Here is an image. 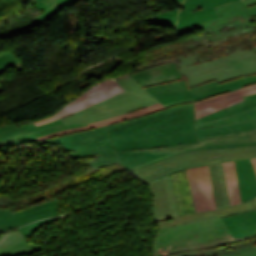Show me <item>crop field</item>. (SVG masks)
Instances as JSON below:
<instances>
[{
	"label": "crop field",
	"instance_id": "1",
	"mask_svg": "<svg viewBox=\"0 0 256 256\" xmlns=\"http://www.w3.org/2000/svg\"><path fill=\"white\" fill-rule=\"evenodd\" d=\"M193 102L109 125L117 158L130 171L191 150L256 145V121L194 130Z\"/></svg>",
	"mask_w": 256,
	"mask_h": 256
},
{
	"label": "crop field",
	"instance_id": "2",
	"mask_svg": "<svg viewBox=\"0 0 256 256\" xmlns=\"http://www.w3.org/2000/svg\"><path fill=\"white\" fill-rule=\"evenodd\" d=\"M234 38L239 39L237 35L203 45H211L214 48L221 44L226 47L227 45L223 44V42L227 40L235 42ZM248 41L250 42L249 45L253 46V50L242 51L243 48H241L231 53L230 48L232 47L227 46L228 48L224 52L203 60L198 57L200 56L198 53L203 52V50L195 51L194 48L195 52L188 56L178 55V58H170L167 61L154 57L151 58V63H146L136 69L141 71L152 66L174 61L181 75L187 77L188 87L213 79L221 82L237 76L256 73V35L249 32Z\"/></svg>",
	"mask_w": 256,
	"mask_h": 256
},
{
	"label": "crop field",
	"instance_id": "3",
	"mask_svg": "<svg viewBox=\"0 0 256 256\" xmlns=\"http://www.w3.org/2000/svg\"><path fill=\"white\" fill-rule=\"evenodd\" d=\"M256 158V146L191 151L134 170L145 181L154 180L181 169L209 164L216 207L230 206L222 162Z\"/></svg>",
	"mask_w": 256,
	"mask_h": 256
},
{
	"label": "crop field",
	"instance_id": "4",
	"mask_svg": "<svg viewBox=\"0 0 256 256\" xmlns=\"http://www.w3.org/2000/svg\"><path fill=\"white\" fill-rule=\"evenodd\" d=\"M236 242L221 218L214 217L159 231L155 256L203 249Z\"/></svg>",
	"mask_w": 256,
	"mask_h": 256
},
{
	"label": "crop field",
	"instance_id": "5",
	"mask_svg": "<svg viewBox=\"0 0 256 256\" xmlns=\"http://www.w3.org/2000/svg\"><path fill=\"white\" fill-rule=\"evenodd\" d=\"M216 10L220 17L177 32L180 36L198 30L205 31L184 40V43L190 40L199 42L188 48L256 29V0H242L216 7Z\"/></svg>",
	"mask_w": 256,
	"mask_h": 256
},
{
	"label": "crop field",
	"instance_id": "6",
	"mask_svg": "<svg viewBox=\"0 0 256 256\" xmlns=\"http://www.w3.org/2000/svg\"><path fill=\"white\" fill-rule=\"evenodd\" d=\"M116 80L126 91L89 108L61 118L65 124H86L138 110L159 101L145 92L128 74Z\"/></svg>",
	"mask_w": 256,
	"mask_h": 256
},
{
	"label": "crop field",
	"instance_id": "7",
	"mask_svg": "<svg viewBox=\"0 0 256 256\" xmlns=\"http://www.w3.org/2000/svg\"><path fill=\"white\" fill-rule=\"evenodd\" d=\"M38 143L53 145L63 144L67 151H77L69 154L73 156V158L97 154L98 160L89 162L94 169L119 163L110 142L106 126L64 135Z\"/></svg>",
	"mask_w": 256,
	"mask_h": 256
},
{
	"label": "crop field",
	"instance_id": "8",
	"mask_svg": "<svg viewBox=\"0 0 256 256\" xmlns=\"http://www.w3.org/2000/svg\"><path fill=\"white\" fill-rule=\"evenodd\" d=\"M256 83V75L244 77L233 82L219 85L215 80L188 88L183 81L177 80L169 83L145 87L148 93L158 99L162 105L183 99L193 98L200 101L225 92Z\"/></svg>",
	"mask_w": 256,
	"mask_h": 256
},
{
	"label": "crop field",
	"instance_id": "9",
	"mask_svg": "<svg viewBox=\"0 0 256 256\" xmlns=\"http://www.w3.org/2000/svg\"><path fill=\"white\" fill-rule=\"evenodd\" d=\"M7 196L0 197V231L10 230L29 222L59 216L57 199L12 213Z\"/></svg>",
	"mask_w": 256,
	"mask_h": 256
},
{
	"label": "crop field",
	"instance_id": "10",
	"mask_svg": "<svg viewBox=\"0 0 256 256\" xmlns=\"http://www.w3.org/2000/svg\"><path fill=\"white\" fill-rule=\"evenodd\" d=\"M124 92L121 86L114 80H105L81 96L77 99L69 103L67 106L56 112L55 114L48 116L46 118L40 119L38 121L33 122L36 126L44 124L46 122L61 118L63 116L69 115L72 112H77L81 109L89 107L93 104H96L100 101L108 99L112 96L120 94Z\"/></svg>",
	"mask_w": 256,
	"mask_h": 256
},
{
	"label": "crop field",
	"instance_id": "11",
	"mask_svg": "<svg viewBox=\"0 0 256 256\" xmlns=\"http://www.w3.org/2000/svg\"><path fill=\"white\" fill-rule=\"evenodd\" d=\"M240 0H184L178 18L177 31L218 17L214 7Z\"/></svg>",
	"mask_w": 256,
	"mask_h": 256
},
{
	"label": "crop field",
	"instance_id": "12",
	"mask_svg": "<svg viewBox=\"0 0 256 256\" xmlns=\"http://www.w3.org/2000/svg\"><path fill=\"white\" fill-rule=\"evenodd\" d=\"M154 194L155 221L178 217L176 196L170 175L148 182Z\"/></svg>",
	"mask_w": 256,
	"mask_h": 256
},
{
	"label": "crop field",
	"instance_id": "13",
	"mask_svg": "<svg viewBox=\"0 0 256 256\" xmlns=\"http://www.w3.org/2000/svg\"><path fill=\"white\" fill-rule=\"evenodd\" d=\"M256 93V84L194 103L195 120L243 101L244 96Z\"/></svg>",
	"mask_w": 256,
	"mask_h": 256
},
{
	"label": "crop field",
	"instance_id": "14",
	"mask_svg": "<svg viewBox=\"0 0 256 256\" xmlns=\"http://www.w3.org/2000/svg\"><path fill=\"white\" fill-rule=\"evenodd\" d=\"M191 101H193V100L192 99L183 100V101H179V102H175V103L166 104L164 106H162L161 103H158V104L151 105V106H148L146 108L140 109L138 111L128 113L126 115H122V116H118V117H114V118H110V119L90 123V124H87V126L77 127V128H73V129H69V130H65V131H61V132L52 133V134H49V135H46V136H43V137H40V138L34 137V138L25 139V140H21V141H17V142H12V143H8V144H5V145L10 146V145H15V144H20V143L34 142V141H39V140H43V139H47V138H51V137H55V136H59V135H64V134H68V133H72V132L92 129V128H96V127H99V126L113 124V123H117V122H120V121L132 119L136 116H139V115H142V114H145V113L154 112V111H157V110L169 107V106H173V105H177V104H181V103H186V102H191Z\"/></svg>",
	"mask_w": 256,
	"mask_h": 256
},
{
	"label": "crop field",
	"instance_id": "15",
	"mask_svg": "<svg viewBox=\"0 0 256 256\" xmlns=\"http://www.w3.org/2000/svg\"><path fill=\"white\" fill-rule=\"evenodd\" d=\"M129 75H131L142 87L182 78L174 62Z\"/></svg>",
	"mask_w": 256,
	"mask_h": 256
},
{
	"label": "crop field",
	"instance_id": "16",
	"mask_svg": "<svg viewBox=\"0 0 256 256\" xmlns=\"http://www.w3.org/2000/svg\"><path fill=\"white\" fill-rule=\"evenodd\" d=\"M242 202L256 198V174L250 159L235 162Z\"/></svg>",
	"mask_w": 256,
	"mask_h": 256
},
{
	"label": "crop field",
	"instance_id": "17",
	"mask_svg": "<svg viewBox=\"0 0 256 256\" xmlns=\"http://www.w3.org/2000/svg\"><path fill=\"white\" fill-rule=\"evenodd\" d=\"M197 186L202 212L216 210L208 165L191 168Z\"/></svg>",
	"mask_w": 256,
	"mask_h": 256
},
{
	"label": "crop field",
	"instance_id": "18",
	"mask_svg": "<svg viewBox=\"0 0 256 256\" xmlns=\"http://www.w3.org/2000/svg\"><path fill=\"white\" fill-rule=\"evenodd\" d=\"M42 247L30 245L18 231L0 235V256L32 253Z\"/></svg>",
	"mask_w": 256,
	"mask_h": 256
},
{
	"label": "crop field",
	"instance_id": "19",
	"mask_svg": "<svg viewBox=\"0 0 256 256\" xmlns=\"http://www.w3.org/2000/svg\"><path fill=\"white\" fill-rule=\"evenodd\" d=\"M253 209L254 207L250 204V202H247L239 206L229 207V208H225V209H221L213 212L193 214V215H189V216H185L177 219L160 221V222H157V224L159 228L162 229V228L174 226L177 224L188 223V222H192V221H196V220H200V219H204L212 216H215L216 218H218V217H224L228 215H235V214H239V213L246 212Z\"/></svg>",
	"mask_w": 256,
	"mask_h": 256
},
{
	"label": "crop field",
	"instance_id": "20",
	"mask_svg": "<svg viewBox=\"0 0 256 256\" xmlns=\"http://www.w3.org/2000/svg\"><path fill=\"white\" fill-rule=\"evenodd\" d=\"M229 232L236 239L249 236L256 228V210L223 218Z\"/></svg>",
	"mask_w": 256,
	"mask_h": 256
},
{
	"label": "crop field",
	"instance_id": "21",
	"mask_svg": "<svg viewBox=\"0 0 256 256\" xmlns=\"http://www.w3.org/2000/svg\"><path fill=\"white\" fill-rule=\"evenodd\" d=\"M171 176L177 196L179 215L195 212L186 170Z\"/></svg>",
	"mask_w": 256,
	"mask_h": 256
},
{
	"label": "crop field",
	"instance_id": "22",
	"mask_svg": "<svg viewBox=\"0 0 256 256\" xmlns=\"http://www.w3.org/2000/svg\"><path fill=\"white\" fill-rule=\"evenodd\" d=\"M216 251L219 256H256V239L244 241L235 245L227 246L216 250H197L169 256H187Z\"/></svg>",
	"mask_w": 256,
	"mask_h": 256
},
{
	"label": "crop field",
	"instance_id": "23",
	"mask_svg": "<svg viewBox=\"0 0 256 256\" xmlns=\"http://www.w3.org/2000/svg\"><path fill=\"white\" fill-rule=\"evenodd\" d=\"M253 96H256V94L244 97L245 101H243L241 103H238L234 106H231L227 109H224L222 111L211 114V115L206 116L204 118L198 119V120L195 121V125H199V124L211 122V121H214V120L234 116V115H237V114L242 113L244 111L255 109L256 108V101H255Z\"/></svg>",
	"mask_w": 256,
	"mask_h": 256
},
{
	"label": "crop field",
	"instance_id": "24",
	"mask_svg": "<svg viewBox=\"0 0 256 256\" xmlns=\"http://www.w3.org/2000/svg\"><path fill=\"white\" fill-rule=\"evenodd\" d=\"M38 3L34 5L39 9L44 10V14L35 18L40 24L50 18L55 13L63 8L75 3L77 0H37Z\"/></svg>",
	"mask_w": 256,
	"mask_h": 256
},
{
	"label": "crop field",
	"instance_id": "25",
	"mask_svg": "<svg viewBox=\"0 0 256 256\" xmlns=\"http://www.w3.org/2000/svg\"><path fill=\"white\" fill-rule=\"evenodd\" d=\"M60 125H64V123L60 119L49 122L47 124H44V125H41V126H38V127H36L33 123H30V124L25 125L23 127L14 128V129H12L8 132H5V133L1 134L0 135V141L5 140V139H9V138H13V137H17V136H21V135H25V134H29V133H33V132H36V131H40V130L60 126Z\"/></svg>",
	"mask_w": 256,
	"mask_h": 256
},
{
	"label": "crop field",
	"instance_id": "26",
	"mask_svg": "<svg viewBox=\"0 0 256 256\" xmlns=\"http://www.w3.org/2000/svg\"><path fill=\"white\" fill-rule=\"evenodd\" d=\"M231 206L241 202L234 162L223 163Z\"/></svg>",
	"mask_w": 256,
	"mask_h": 256
},
{
	"label": "crop field",
	"instance_id": "27",
	"mask_svg": "<svg viewBox=\"0 0 256 256\" xmlns=\"http://www.w3.org/2000/svg\"><path fill=\"white\" fill-rule=\"evenodd\" d=\"M250 120H256V109L244 112L242 114H239L234 117L214 121L211 123L195 126L196 128H204V127H210V126H218V125H225V124H233V123H239L243 121H250Z\"/></svg>",
	"mask_w": 256,
	"mask_h": 256
},
{
	"label": "crop field",
	"instance_id": "28",
	"mask_svg": "<svg viewBox=\"0 0 256 256\" xmlns=\"http://www.w3.org/2000/svg\"><path fill=\"white\" fill-rule=\"evenodd\" d=\"M178 11H179V8L170 12H165L155 16H151L146 19L155 24L168 25L172 28H175Z\"/></svg>",
	"mask_w": 256,
	"mask_h": 256
},
{
	"label": "crop field",
	"instance_id": "29",
	"mask_svg": "<svg viewBox=\"0 0 256 256\" xmlns=\"http://www.w3.org/2000/svg\"><path fill=\"white\" fill-rule=\"evenodd\" d=\"M77 126H82V125H64V126L52 128V129H49V130H45V131H41V132L25 135V136H22V137L6 140V141H3V143L17 141V140H21V139H25V138L34 137V136L40 137V136H43V135H46V134H49V133H52V132H56V131H60V130H65V129H69V128H73V127H77Z\"/></svg>",
	"mask_w": 256,
	"mask_h": 256
},
{
	"label": "crop field",
	"instance_id": "30",
	"mask_svg": "<svg viewBox=\"0 0 256 256\" xmlns=\"http://www.w3.org/2000/svg\"><path fill=\"white\" fill-rule=\"evenodd\" d=\"M57 218H60V217H57ZM57 218L36 221L34 223H31V224H28L26 226H23V227L19 228V232L22 233L25 236V239H26L33 231H35L37 228H39L45 222L50 221V220H54V219H57Z\"/></svg>",
	"mask_w": 256,
	"mask_h": 256
},
{
	"label": "crop field",
	"instance_id": "31",
	"mask_svg": "<svg viewBox=\"0 0 256 256\" xmlns=\"http://www.w3.org/2000/svg\"><path fill=\"white\" fill-rule=\"evenodd\" d=\"M187 172H188V177H189L190 187H191V191H192L195 210H196V213H199V212H201V210H200V205H199L196 186H195V183H194V180H193L191 170L189 169V170H187Z\"/></svg>",
	"mask_w": 256,
	"mask_h": 256
},
{
	"label": "crop field",
	"instance_id": "32",
	"mask_svg": "<svg viewBox=\"0 0 256 256\" xmlns=\"http://www.w3.org/2000/svg\"><path fill=\"white\" fill-rule=\"evenodd\" d=\"M12 127H14V125H11V126H7V127L0 128V133H1V132H4V131H6V130H8V129L12 128Z\"/></svg>",
	"mask_w": 256,
	"mask_h": 256
},
{
	"label": "crop field",
	"instance_id": "33",
	"mask_svg": "<svg viewBox=\"0 0 256 256\" xmlns=\"http://www.w3.org/2000/svg\"><path fill=\"white\" fill-rule=\"evenodd\" d=\"M251 160H252L253 168L256 172V159H251Z\"/></svg>",
	"mask_w": 256,
	"mask_h": 256
},
{
	"label": "crop field",
	"instance_id": "34",
	"mask_svg": "<svg viewBox=\"0 0 256 256\" xmlns=\"http://www.w3.org/2000/svg\"><path fill=\"white\" fill-rule=\"evenodd\" d=\"M174 1L178 4V6H180L183 0H174Z\"/></svg>",
	"mask_w": 256,
	"mask_h": 256
},
{
	"label": "crop field",
	"instance_id": "35",
	"mask_svg": "<svg viewBox=\"0 0 256 256\" xmlns=\"http://www.w3.org/2000/svg\"><path fill=\"white\" fill-rule=\"evenodd\" d=\"M251 204L255 207L256 209V200L255 201H252Z\"/></svg>",
	"mask_w": 256,
	"mask_h": 256
},
{
	"label": "crop field",
	"instance_id": "36",
	"mask_svg": "<svg viewBox=\"0 0 256 256\" xmlns=\"http://www.w3.org/2000/svg\"><path fill=\"white\" fill-rule=\"evenodd\" d=\"M214 254H216L215 252H213V253H208L207 255L209 256V255H211V256H213ZM218 256V255H217Z\"/></svg>",
	"mask_w": 256,
	"mask_h": 256
},
{
	"label": "crop field",
	"instance_id": "37",
	"mask_svg": "<svg viewBox=\"0 0 256 256\" xmlns=\"http://www.w3.org/2000/svg\"><path fill=\"white\" fill-rule=\"evenodd\" d=\"M252 236H256V235H252ZM249 237H251V236H249ZM245 238H247V237H245ZM239 239H241V238H239Z\"/></svg>",
	"mask_w": 256,
	"mask_h": 256
},
{
	"label": "crop field",
	"instance_id": "38",
	"mask_svg": "<svg viewBox=\"0 0 256 256\" xmlns=\"http://www.w3.org/2000/svg\"><path fill=\"white\" fill-rule=\"evenodd\" d=\"M255 99H256V97H255Z\"/></svg>",
	"mask_w": 256,
	"mask_h": 256
}]
</instances>
